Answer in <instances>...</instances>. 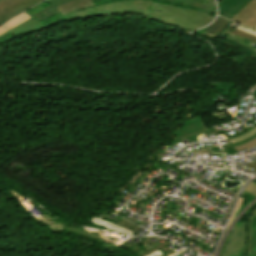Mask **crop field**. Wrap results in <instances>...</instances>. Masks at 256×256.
<instances>
[{"label":"crop field","mask_w":256,"mask_h":256,"mask_svg":"<svg viewBox=\"0 0 256 256\" xmlns=\"http://www.w3.org/2000/svg\"><path fill=\"white\" fill-rule=\"evenodd\" d=\"M153 1L145 0H132L119 3H110L96 7L98 15L111 14V13H127L134 12L145 15L147 19L164 23L167 25L175 26L178 28L194 31L206 24L189 21L179 17H175L165 13H159L148 10Z\"/></svg>","instance_id":"crop-field-1"},{"label":"crop field","mask_w":256,"mask_h":256,"mask_svg":"<svg viewBox=\"0 0 256 256\" xmlns=\"http://www.w3.org/2000/svg\"><path fill=\"white\" fill-rule=\"evenodd\" d=\"M247 223L239 222L232 228L220 256H243L246 253Z\"/></svg>","instance_id":"crop-field-2"},{"label":"crop field","mask_w":256,"mask_h":256,"mask_svg":"<svg viewBox=\"0 0 256 256\" xmlns=\"http://www.w3.org/2000/svg\"><path fill=\"white\" fill-rule=\"evenodd\" d=\"M41 1L44 0H4L0 2V24Z\"/></svg>","instance_id":"crop-field-3"},{"label":"crop field","mask_w":256,"mask_h":256,"mask_svg":"<svg viewBox=\"0 0 256 256\" xmlns=\"http://www.w3.org/2000/svg\"><path fill=\"white\" fill-rule=\"evenodd\" d=\"M150 10L165 12V13L182 17V18H186V19H190V20H194V21H198L206 24L210 23L214 18L212 16H208L200 12L176 8V7L162 5V4H155V3H152Z\"/></svg>","instance_id":"crop-field-4"},{"label":"crop field","mask_w":256,"mask_h":256,"mask_svg":"<svg viewBox=\"0 0 256 256\" xmlns=\"http://www.w3.org/2000/svg\"><path fill=\"white\" fill-rule=\"evenodd\" d=\"M213 130V129H212ZM210 129H208L202 120V116L197 117V118H193L190 120H186L184 126L182 127L179 135L177 136L176 140L174 143L189 138V137H193V136H198L199 134L205 133V132H209L212 131Z\"/></svg>","instance_id":"crop-field-5"},{"label":"crop field","mask_w":256,"mask_h":256,"mask_svg":"<svg viewBox=\"0 0 256 256\" xmlns=\"http://www.w3.org/2000/svg\"><path fill=\"white\" fill-rule=\"evenodd\" d=\"M231 20L254 29L256 26V0H250Z\"/></svg>","instance_id":"crop-field-6"},{"label":"crop field","mask_w":256,"mask_h":256,"mask_svg":"<svg viewBox=\"0 0 256 256\" xmlns=\"http://www.w3.org/2000/svg\"><path fill=\"white\" fill-rule=\"evenodd\" d=\"M249 0H222L218 4L219 14L230 19L235 15ZM219 15V16H220Z\"/></svg>","instance_id":"crop-field-7"},{"label":"crop field","mask_w":256,"mask_h":256,"mask_svg":"<svg viewBox=\"0 0 256 256\" xmlns=\"http://www.w3.org/2000/svg\"><path fill=\"white\" fill-rule=\"evenodd\" d=\"M94 6L92 0H71L56 6L58 11L65 16L71 12Z\"/></svg>","instance_id":"crop-field-8"},{"label":"crop field","mask_w":256,"mask_h":256,"mask_svg":"<svg viewBox=\"0 0 256 256\" xmlns=\"http://www.w3.org/2000/svg\"><path fill=\"white\" fill-rule=\"evenodd\" d=\"M172 3H183L186 5L194 6L198 9L206 10L215 13L216 8L214 4V0H163Z\"/></svg>","instance_id":"crop-field-9"},{"label":"crop field","mask_w":256,"mask_h":256,"mask_svg":"<svg viewBox=\"0 0 256 256\" xmlns=\"http://www.w3.org/2000/svg\"><path fill=\"white\" fill-rule=\"evenodd\" d=\"M247 252L256 254V216L252 215L248 219Z\"/></svg>","instance_id":"crop-field-10"},{"label":"crop field","mask_w":256,"mask_h":256,"mask_svg":"<svg viewBox=\"0 0 256 256\" xmlns=\"http://www.w3.org/2000/svg\"><path fill=\"white\" fill-rule=\"evenodd\" d=\"M228 23L229 21L217 17L216 20L207 28L203 34L216 38Z\"/></svg>","instance_id":"crop-field-11"},{"label":"crop field","mask_w":256,"mask_h":256,"mask_svg":"<svg viewBox=\"0 0 256 256\" xmlns=\"http://www.w3.org/2000/svg\"><path fill=\"white\" fill-rule=\"evenodd\" d=\"M90 222L94 223V224H97V225H101V226H104L105 228L107 229H110V230H113L115 232H118V233H122V234H127V235H131V236H134V233L128 231V230H125L121 227H118L112 223H109L97 216H95L94 218L90 219L89 220Z\"/></svg>","instance_id":"crop-field-12"},{"label":"crop field","mask_w":256,"mask_h":256,"mask_svg":"<svg viewBox=\"0 0 256 256\" xmlns=\"http://www.w3.org/2000/svg\"><path fill=\"white\" fill-rule=\"evenodd\" d=\"M56 14H59L55 8L51 5L47 8H44L32 15H30L37 23L47 19V18H50Z\"/></svg>","instance_id":"crop-field-13"},{"label":"crop field","mask_w":256,"mask_h":256,"mask_svg":"<svg viewBox=\"0 0 256 256\" xmlns=\"http://www.w3.org/2000/svg\"><path fill=\"white\" fill-rule=\"evenodd\" d=\"M95 15H97L95 7H92V8H87L81 11L74 12L64 18L67 20H71V19L89 17V16H95Z\"/></svg>","instance_id":"crop-field-14"},{"label":"crop field","mask_w":256,"mask_h":256,"mask_svg":"<svg viewBox=\"0 0 256 256\" xmlns=\"http://www.w3.org/2000/svg\"><path fill=\"white\" fill-rule=\"evenodd\" d=\"M65 231H69V232H72V233H75V234H78V235H83V236H86V237L91 238V239L101 240V239L98 238V233L99 232H97V231L86 230V229L79 230V229H75V228H71V227H66Z\"/></svg>","instance_id":"crop-field-15"},{"label":"crop field","mask_w":256,"mask_h":256,"mask_svg":"<svg viewBox=\"0 0 256 256\" xmlns=\"http://www.w3.org/2000/svg\"><path fill=\"white\" fill-rule=\"evenodd\" d=\"M29 18H31V17L29 15H27L25 12H23L20 15H18L16 18H14L13 20H11L10 22L6 23L3 26L9 30Z\"/></svg>","instance_id":"crop-field-16"},{"label":"crop field","mask_w":256,"mask_h":256,"mask_svg":"<svg viewBox=\"0 0 256 256\" xmlns=\"http://www.w3.org/2000/svg\"><path fill=\"white\" fill-rule=\"evenodd\" d=\"M39 28H42L41 26H39L35 21L28 24L27 26L21 28L20 30L12 33L13 35H15L16 37L18 36H21L23 34H26L28 32H31L33 30H36V29H39Z\"/></svg>","instance_id":"crop-field-17"},{"label":"crop field","mask_w":256,"mask_h":256,"mask_svg":"<svg viewBox=\"0 0 256 256\" xmlns=\"http://www.w3.org/2000/svg\"><path fill=\"white\" fill-rule=\"evenodd\" d=\"M255 146H256V138H254L253 140H251L245 144L234 146V149L238 152L240 150L249 149V148H252Z\"/></svg>","instance_id":"crop-field-18"},{"label":"crop field","mask_w":256,"mask_h":256,"mask_svg":"<svg viewBox=\"0 0 256 256\" xmlns=\"http://www.w3.org/2000/svg\"><path fill=\"white\" fill-rule=\"evenodd\" d=\"M232 33H234L236 35H239V36H241V37H243L245 39H248V40H251L253 42H256V37H254L252 35H249V34H247L245 32H242V31H240L238 29H235Z\"/></svg>","instance_id":"crop-field-19"},{"label":"crop field","mask_w":256,"mask_h":256,"mask_svg":"<svg viewBox=\"0 0 256 256\" xmlns=\"http://www.w3.org/2000/svg\"><path fill=\"white\" fill-rule=\"evenodd\" d=\"M255 133H256V127L253 130H251L250 132L246 133L245 135H243L239 138L231 139L230 141H231V143L241 141V140H244V139H247V138L251 137Z\"/></svg>","instance_id":"crop-field-20"},{"label":"crop field","mask_w":256,"mask_h":256,"mask_svg":"<svg viewBox=\"0 0 256 256\" xmlns=\"http://www.w3.org/2000/svg\"><path fill=\"white\" fill-rule=\"evenodd\" d=\"M242 200H243V198L241 197L240 200H239V202H238V204H237V206H236V208H235V210H234V213H233V215H232V217H231V219H230V221H229V223H228V225H227V228H228V226L230 225V223L233 221V219H234V217H235V215H236V213H237V211H238V209H239V207H240V204H241ZM227 228H226V229H227Z\"/></svg>","instance_id":"crop-field-21"},{"label":"crop field","mask_w":256,"mask_h":256,"mask_svg":"<svg viewBox=\"0 0 256 256\" xmlns=\"http://www.w3.org/2000/svg\"><path fill=\"white\" fill-rule=\"evenodd\" d=\"M32 21H34V20L31 18V19L25 21L24 23H22V24L16 26L15 28H13V29H11V30H9V31L14 32V31L18 30L19 28H21V27L27 25L28 23H30V22H32Z\"/></svg>","instance_id":"crop-field-22"},{"label":"crop field","mask_w":256,"mask_h":256,"mask_svg":"<svg viewBox=\"0 0 256 256\" xmlns=\"http://www.w3.org/2000/svg\"><path fill=\"white\" fill-rule=\"evenodd\" d=\"M169 243H171V242L167 241V242H165V243H163V244H161V245H159V246H157V247H155V248H153V249H151V250H149V251L143 253V254L140 255V256H144V255H146V254H148V253H150V252H152V251H154V250H156V249H159V248H161V247H163V246H165V245H167V244H169Z\"/></svg>","instance_id":"crop-field-23"},{"label":"crop field","mask_w":256,"mask_h":256,"mask_svg":"<svg viewBox=\"0 0 256 256\" xmlns=\"http://www.w3.org/2000/svg\"><path fill=\"white\" fill-rule=\"evenodd\" d=\"M238 29H240V30H242V31H245V32H247V33H249V34H252V35H255V36H256V32H255V31L246 29V28L241 27V26H239Z\"/></svg>","instance_id":"crop-field-24"},{"label":"crop field","mask_w":256,"mask_h":256,"mask_svg":"<svg viewBox=\"0 0 256 256\" xmlns=\"http://www.w3.org/2000/svg\"><path fill=\"white\" fill-rule=\"evenodd\" d=\"M49 2L53 3L54 6L60 4V3H63L65 1H68V0H48Z\"/></svg>","instance_id":"crop-field-25"},{"label":"crop field","mask_w":256,"mask_h":256,"mask_svg":"<svg viewBox=\"0 0 256 256\" xmlns=\"http://www.w3.org/2000/svg\"><path fill=\"white\" fill-rule=\"evenodd\" d=\"M230 32L229 31H227V30H223L222 32H221V34L220 35H223L222 37L219 35L218 36V38H220V39H224L228 34H229Z\"/></svg>","instance_id":"crop-field-26"},{"label":"crop field","mask_w":256,"mask_h":256,"mask_svg":"<svg viewBox=\"0 0 256 256\" xmlns=\"http://www.w3.org/2000/svg\"><path fill=\"white\" fill-rule=\"evenodd\" d=\"M161 254H163V253L161 251L157 250V251H155V252H153V253H151V254H149L147 256H159Z\"/></svg>","instance_id":"crop-field-27"},{"label":"crop field","mask_w":256,"mask_h":256,"mask_svg":"<svg viewBox=\"0 0 256 256\" xmlns=\"http://www.w3.org/2000/svg\"><path fill=\"white\" fill-rule=\"evenodd\" d=\"M245 166H248V167H251V168H253V169H256V161L251 162V163H249V164H247V165H245Z\"/></svg>","instance_id":"crop-field-28"},{"label":"crop field","mask_w":256,"mask_h":256,"mask_svg":"<svg viewBox=\"0 0 256 256\" xmlns=\"http://www.w3.org/2000/svg\"><path fill=\"white\" fill-rule=\"evenodd\" d=\"M232 37H234V38H236V39H239V40H241V41H243V42H248V40H245V39H242V38H240V37H238V36H236V35H231Z\"/></svg>","instance_id":"crop-field-29"},{"label":"crop field","mask_w":256,"mask_h":256,"mask_svg":"<svg viewBox=\"0 0 256 256\" xmlns=\"http://www.w3.org/2000/svg\"><path fill=\"white\" fill-rule=\"evenodd\" d=\"M184 251H186V250L182 249V250H180V251H178V252H176V253H174V254H172V255H170V256H175V255H177V254H179V253H182V252H184Z\"/></svg>","instance_id":"crop-field-30"},{"label":"crop field","mask_w":256,"mask_h":256,"mask_svg":"<svg viewBox=\"0 0 256 256\" xmlns=\"http://www.w3.org/2000/svg\"><path fill=\"white\" fill-rule=\"evenodd\" d=\"M6 31H7V30L4 29L2 26L0 27V35H1L2 33L6 32Z\"/></svg>","instance_id":"crop-field-31"},{"label":"crop field","mask_w":256,"mask_h":256,"mask_svg":"<svg viewBox=\"0 0 256 256\" xmlns=\"http://www.w3.org/2000/svg\"><path fill=\"white\" fill-rule=\"evenodd\" d=\"M246 256H256L255 254H249L247 253Z\"/></svg>","instance_id":"crop-field-32"},{"label":"crop field","mask_w":256,"mask_h":256,"mask_svg":"<svg viewBox=\"0 0 256 256\" xmlns=\"http://www.w3.org/2000/svg\"><path fill=\"white\" fill-rule=\"evenodd\" d=\"M255 210V209H254ZM252 215H256V210L252 213Z\"/></svg>","instance_id":"crop-field-33"},{"label":"crop field","mask_w":256,"mask_h":256,"mask_svg":"<svg viewBox=\"0 0 256 256\" xmlns=\"http://www.w3.org/2000/svg\"><path fill=\"white\" fill-rule=\"evenodd\" d=\"M252 55L256 56V51H255V53H253ZM254 87H256V85H255Z\"/></svg>","instance_id":"crop-field-34"},{"label":"crop field","mask_w":256,"mask_h":256,"mask_svg":"<svg viewBox=\"0 0 256 256\" xmlns=\"http://www.w3.org/2000/svg\"><path fill=\"white\" fill-rule=\"evenodd\" d=\"M0 1H2V0H0Z\"/></svg>","instance_id":"crop-field-35"},{"label":"crop field","mask_w":256,"mask_h":256,"mask_svg":"<svg viewBox=\"0 0 256 256\" xmlns=\"http://www.w3.org/2000/svg\"><path fill=\"white\" fill-rule=\"evenodd\" d=\"M256 29V28H255Z\"/></svg>","instance_id":"crop-field-36"}]
</instances>
